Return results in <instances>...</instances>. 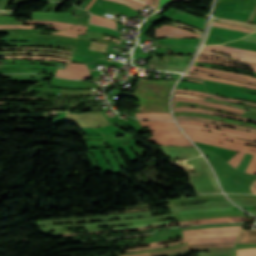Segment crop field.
I'll list each match as a JSON object with an SVG mask.
<instances>
[{
  "mask_svg": "<svg viewBox=\"0 0 256 256\" xmlns=\"http://www.w3.org/2000/svg\"><path fill=\"white\" fill-rule=\"evenodd\" d=\"M175 81L141 79L133 98L140 102L139 111L168 112L167 95Z\"/></svg>",
  "mask_w": 256,
  "mask_h": 256,
  "instance_id": "1",
  "label": "crop field"
},
{
  "mask_svg": "<svg viewBox=\"0 0 256 256\" xmlns=\"http://www.w3.org/2000/svg\"><path fill=\"white\" fill-rule=\"evenodd\" d=\"M173 106H195V107L206 108L208 110L232 113L240 116H242L244 112L243 109H239L231 106L214 104V103H209V102H204V101L194 100V99L175 98V97H174Z\"/></svg>",
  "mask_w": 256,
  "mask_h": 256,
  "instance_id": "2",
  "label": "crop field"
},
{
  "mask_svg": "<svg viewBox=\"0 0 256 256\" xmlns=\"http://www.w3.org/2000/svg\"><path fill=\"white\" fill-rule=\"evenodd\" d=\"M65 121L75 123L79 126H104L110 124L101 112L69 113Z\"/></svg>",
  "mask_w": 256,
  "mask_h": 256,
  "instance_id": "3",
  "label": "crop field"
},
{
  "mask_svg": "<svg viewBox=\"0 0 256 256\" xmlns=\"http://www.w3.org/2000/svg\"><path fill=\"white\" fill-rule=\"evenodd\" d=\"M189 181L199 193L218 191L216 183L210 172L189 174Z\"/></svg>",
  "mask_w": 256,
  "mask_h": 256,
  "instance_id": "4",
  "label": "crop field"
},
{
  "mask_svg": "<svg viewBox=\"0 0 256 256\" xmlns=\"http://www.w3.org/2000/svg\"><path fill=\"white\" fill-rule=\"evenodd\" d=\"M237 236H232V237H212V238H191V239H185L177 242H172V243H166V244H160V245H154V246H148V247H141V248H133V249H125V250H120L118 252H123V251H135V250H141V249H147V248H160V247H165L181 242H186L189 241V244H198V243H220V242H235Z\"/></svg>",
  "mask_w": 256,
  "mask_h": 256,
  "instance_id": "5",
  "label": "crop field"
},
{
  "mask_svg": "<svg viewBox=\"0 0 256 256\" xmlns=\"http://www.w3.org/2000/svg\"><path fill=\"white\" fill-rule=\"evenodd\" d=\"M57 77L63 78H89L86 64L69 63L65 70L58 69Z\"/></svg>",
  "mask_w": 256,
  "mask_h": 256,
  "instance_id": "6",
  "label": "crop field"
},
{
  "mask_svg": "<svg viewBox=\"0 0 256 256\" xmlns=\"http://www.w3.org/2000/svg\"><path fill=\"white\" fill-rule=\"evenodd\" d=\"M213 25L214 26L237 29V30L249 31V32L254 31V30H248L249 28L247 29V28H242L240 26L217 23V22H214ZM214 26H212V28H211V32H210L211 34H218V35L228 36V37H232V38H236V39H239V38L243 37L244 35L249 34V32L231 30V29L214 27Z\"/></svg>",
  "mask_w": 256,
  "mask_h": 256,
  "instance_id": "7",
  "label": "crop field"
},
{
  "mask_svg": "<svg viewBox=\"0 0 256 256\" xmlns=\"http://www.w3.org/2000/svg\"><path fill=\"white\" fill-rule=\"evenodd\" d=\"M159 37H200V35L174 26L163 25L155 30V38Z\"/></svg>",
  "mask_w": 256,
  "mask_h": 256,
  "instance_id": "8",
  "label": "crop field"
},
{
  "mask_svg": "<svg viewBox=\"0 0 256 256\" xmlns=\"http://www.w3.org/2000/svg\"><path fill=\"white\" fill-rule=\"evenodd\" d=\"M191 138H192V140H195V141H199V142H203V143H207V144H211V145H215V146H219V147H223V148L240 150V151H244V152L254 155L246 172L254 173V174L256 173V152L255 151L240 148V147L230 146V145H226V144H222V143H218V142H214V141H210V140H206V139H200V138H194V137H191Z\"/></svg>",
  "mask_w": 256,
  "mask_h": 256,
  "instance_id": "9",
  "label": "crop field"
},
{
  "mask_svg": "<svg viewBox=\"0 0 256 256\" xmlns=\"http://www.w3.org/2000/svg\"><path fill=\"white\" fill-rule=\"evenodd\" d=\"M203 49L204 50H212V51L222 52V53L234 55L236 57L202 50L201 53H203V54L226 56V57H230V58H233V59H236V60H240V61H244V62H248V63H255L256 64V56H254V55L234 53V52H231V51L214 49V48L205 47V46L203 47Z\"/></svg>",
  "mask_w": 256,
  "mask_h": 256,
  "instance_id": "10",
  "label": "crop field"
},
{
  "mask_svg": "<svg viewBox=\"0 0 256 256\" xmlns=\"http://www.w3.org/2000/svg\"><path fill=\"white\" fill-rule=\"evenodd\" d=\"M225 219H244V217H225V218H213V219H205V220L181 221V222L169 223V224H165V225H157V226L131 229V230H125V231H119V232H131V231L145 230V229L155 228V227L176 225V224H181V223H189V222L193 223V222H198V221L225 220ZM105 232H114V231H105ZM93 233H103V232H88V233H80V234H93ZM80 234H67V235H56V236H68V235H80Z\"/></svg>",
  "mask_w": 256,
  "mask_h": 256,
  "instance_id": "11",
  "label": "crop field"
},
{
  "mask_svg": "<svg viewBox=\"0 0 256 256\" xmlns=\"http://www.w3.org/2000/svg\"><path fill=\"white\" fill-rule=\"evenodd\" d=\"M200 57L210 58V59L225 60V61H229V62H231V63H239V64H242V65H245V66H249V67H253V68H256L255 65L244 64V63H240V62L233 61V60H229V59H225V58L212 57V56H205V55H201V54L199 55V57H198V59H197V61H200V62H207V63H216V64L229 65V66H234V67L243 68V69H246V70H248V71H255V72H256V69H250V68H246V67H243V66H239V65H235V64H230V63H226V62H222V61L208 60V59H200Z\"/></svg>",
  "mask_w": 256,
  "mask_h": 256,
  "instance_id": "12",
  "label": "crop field"
},
{
  "mask_svg": "<svg viewBox=\"0 0 256 256\" xmlns=\"http://www.w3.org/2000/svg\"><path fill=\"white\" fill-rule=\"evenodd\" d=\"M177 121H178V123H194V124L203 125V126L217 127V128L225 129V130H228V131H232V132H236V133L256 137L255 133L245 132V131L232 129V128H228V127H224V126H220V125H215V124H211V123L197 122V121H193V120H177Z\"/></svg>",
  "mask_w": 256,
  "mask_h": 256,
  "instance_id": "13",
  "label": "crop field"
},
{
  "mask_svg": "<svg viewBox=\"0 0 256 256\" xmlns=\"http://www.w3.org/2000/svg\"><path fill=\"white\" fill-rule=\"evenodd\" d=\"M159 145H192L188 139L182 138H159L151 140Z\"/></svg>",
  "mask_w": 256,
  "mask_h": 256,
  "instance_id": "14",
  "label": "crop field"
},
{
  "mask_svg": "<svg viewBox=\"0 0 256 256\" xmlns=\"http://www.w3.org/2000/svg\"><path fill=\"white\" fill-rule=\"evenodd\" d=\"M232 235H238V233H214V234H205V235H193V236H189V237L159 241V242H154V243H149V244H144V245L121 246V248H132V247L148 246V245H153V244H157V243L172 242V241H176V240H180V239H184V238H191V237L232 236Z\"/></svg>",
  "mask_w": 256,
  "mask_h": 256,
  "instance_id": "15",
  "label": "crop field"
},
{
  "mask_svg": "<svg viewBox=\"0 0 256 256\" xmlns=\"http://www.w3.org/2000/svg\"><path fill=\"white\" fill-rule=\"evenodd\" d=\"M142 127L149 126L151 131L157 129H168V128H177L174 122H151V121H140Z\"/></svg>",
  "mask_w": 256,
  "mask_h": 256,
  "instance_id": "16",
  "label": "crop field"
},
{
  "mask_svg": "<svg viewBox=\"0 0 256 256\" xmlns=\"http://www.w3.org/2000/svg\"><path fill=\"white\" fill-rule=\"evenodd\" d=\"M180 125H181V127H190V128H197V129H202V130H207V131L219 132V133L235 136V137L242 138V139L256 141V138H252V137H248V136H244V135H239V134H234V133H229V132L221 131V130L214 129V128L191 125V124H180Z\"/></svg>",
  "mask_w": 256,
  "mask_h": 256,
  "instance_id": "17",
  "label": "crop field"
},
{
  "mask_svg": "<svg viewBox=\"0 0 256 256\" xmlns=\"http://www.w3.org/2000/svg\"><path fill=\"white\" fill-rule=\"evenodd\" d=\"M237 243H256V230L242 229Z\"/></svg>",
  "mask_w": 256,
  "mask_h": 256,
  "instance_id": "18",
  "label": "crop field"
},
{
  "mask_svg": "<svg viewBox=\"0 0 256 256\" xmlns=\"http://www.w3.org/2000/svg\"><path fill=\"white\" fill-rule=\"evenodd\" d=\"M184 131L187 132H196V133H204V134H208V135H212V136H216V137H220V138H224V139H229V140H234V141H238V142H242V143H247V144H251V145H255V142H251V141H247V140H241V139H236L233 138L231 136H227V135H222V134H218V133H213V132H207V131H201V130H195V129H188V128H183Z\"/></svg>",
  "mask_w": 256,
  "mask_h": 256,
  "instance_id": "19",
  "label": "crop field"
},
{
  "mask_svg": "<svg viewBox=\"0 0 256 256\" xmlns=\"http://www.w3.org/2000/svg\"><path fill=\"white\" fill-rule=\"evenodd\" d=\"M235 243H221V244H199V245H189V246H184L180 248H175L167 251H161V252H155V253H146V254H137V255H126V256H144V255H150V254H158V253H166V252H172L188 247H209V246H234Z\"/></svg>",
  "mask_w": 256,
  "mask_h": 256,
  "instance_id": "20",
  "label": "crop field"
},
{
  "mask_svg": "<svg viewBox=\"0 0 256 256\" xmlns=\"http://www.w3.org/2000/svg\"><path fill=\"white\" fill-rule=\"evenodd\" d=\"M175 111H194V112H203V113H209V114H215V115H220V116H226V117H231V118H236V119H241V120H246V121H250V122H254L256 123V121L250 120V119H246V118H242V117H238V116H233V115H229V114H225V113H218V112H211L208 110H202V109H196V108H174Z\"/></svg>",
  "mask_w": 256,
  "mask_h": 256,
  "instance_id": "21",
  "label": "crop field"
},
{
  "mask_svg": "<svg viewBox=\"0 0 256 256\" xmlns=\"http://www.w3.org/2000/svg\"><path fill=\"white\" fill-rule=\"evenodd\" d=\"M138 119L172 120L169 113H137Z\"/></svg>",
  "mask_w": 256,
  "mask_h": 256,
  "instance_id": "22",
  "label": "crop field"
},
{
  "mask_svg": "<svg viewBox=\"0 0 256 256\" xmlns=\"http://www.w3.org/2000/svg\"><path fill=\"white\" fill-rule=\"evenodd\" d=\"M27 24H54V25H62V26H67V27L75 28V29H78V30H83V31H86V29H87V27L76 26V25H72V24H68V23H63V22H57V21H28L27 20Z\"/></svg>",
  "mask_w": 256,
  "mask_h": 256,
  "instance_id": "23",
  "label": "crop field"
},
{
  "mask_svg": "<svg viewBox=\"0 0 256 256\" xmlns=\"http://www.w3.org/2000/svg\"><path fill=\"white\" fill-rule=\"evenodd\" d=\"M187 134L191 135V136H195V137L206 138V139H210V140H214V141H218V142H222V143H226V144L240 146V147H244V148H248V149H252V150L256 151L255 146L233 143V142H229V141H225V140H221V139H217V138H213V137H208V136H204V135H200V134H196V133H187Z\"/></svg>",
  "mask_w": 256,
  "mask_h": 256,
  "instance_id": "24",
  "label": "crop field"
},
{
  "mask_svg": "<svg viewBox=\"0 0 256 256\" xmlns=\"http://www.w3.org/2000/svg\"><path fill=\"white\" fill-rule=\"evenodd\" d=\"M91 23L116 29L115 21L104 19V18L97 17V16H93V15L91 18Z\"/></svg>",
  "mask_w": 256,
  "mask_h": 256,
  "instance_id": "25",
  "label": "crop field"
},
{
  "mask_svg": "<svg viewBox=\"0 0 256 256\" xmlns=\"http://www.w3.org/2000/svg\"><path fill=\"white\" fill-rule=\"evenodd\" d=\"M192 69L211 71V72H218V73H223V74H227V75H231V76H238L240 78H246V79H250V80H255L256 81L255 78H252L250 76H244V75H240V74H236V73L225 72V71H220V70L211 69V68H203V67L193 66Z\"/></svg>",
  "mask_w": 256,
  "mask_h": 256,
  "instance_id": "26",
  "label": "crop field"
},
{
  "mask_svg": "<svg viewBox=\"0 0 256 256\" xmlns=\"http://www.w3.org/2000/svg\"><path fill=\"white\" fill-rule=\"evenodd\" d=\"M199 76H201L204 79L215 80V81H220V82H223V83L235 84V85H239V86H246V87L256 89V86L247 85V84H243V83H240V82H235V81H232V80H224V79H219V78H214V77H209V76H204V75H199Z\"/></svg>",
  "mask_w": 256,
  "mask_h": 256,
  "instance_id": "27",
  "label": "crop field"
},
{
  "mask_svg": "<svg viewBox=\"0 0 256 256\" xmlns=\"http://www.w3.org/2000/svg\"><path fill=\"white\" fill-rule=\"evenodd\" d=\"M190 72H193V73H200V74H206V75H213V76L220 77V78L233 79V80H237V81H240V82H246V83L256 84V82H254V81L243 80V79L234 78V77L225 76V75H219V74L208 73V72H202V71H194V70H191Z\"/></svg>",
  "mask_w": 256,
  "mask_h": 256,
  "instance_id": "28",
  "label": "crop field"
},
{
  "mask_svg": "<svg viewBox=\"0 0 256 256\" xmlns=\"http://www.w3.org/2000/svg\"><path fill=\"white\" fill-rule=\"evenodd\" d=\"M112 1L125 3V4L129 5L131 8L135 9L136 11L146 5L137 0H112Z\"/></svg>",
  "mask_w": 256,
  "mask_h": 256,
  "instance_id": "29",
  "label": "crop field"
},
{
  "mask_svg": "<svg viewBox=\"0 0 256 256\" xmlns=\"http://www.w3.org/2000/svg\"><path fill=\"white\" fill-rule=\"evenodd\" d=\"M217 20L220 22H226V23H231V24H235V25H242V26L256 29V24H248V23H243V22H239V21H235V20L221 19V18H217Z\"/></svg>",
  "mask_w": 256,
  "mask_h": 256,
  "instance_id": "30",
  "label": "crop field"
},
{
  "mask_svg": "<svg viewBox=\"0 0 256 256\" xmlns=\"http://www.w3.org/2000/svg\"><path fill=\"white\" fill-rule=\"evenodd\" d=\"M195 65H197V66H205V67H220V68H226V69H231V70H235V71H239V72H243V73L253 74V75L256 76V73L241 71V70H237V69H233V68H229V67H225V66H219V65H213V64H205V63H199V62H196Z\"/></svg>",
  "mask_w": 256,
  "mask_h": 256,
  "instance_id": "31",
  "label": "crop field"
},
{
  "mask_svg": "<svg viewBox=\"0 0 256 256\" xmlns=\"http://www.w3.org/2000/svg\"><path fill=\"white\" fill-rule=\"evenodd\" d=\"M244 153L243 152H238L232 159H230L229 161H227L228 163H230L232 166H234L236 168V166L239 164V162L241 161L242 157H243Z\"/></svg>",
  "mask_w": 256,
  "mask_h": 256,
  "instance_id": "32",
  "label": "crop field"
},
{
  "mask_svg": "<svg viewBox=\"0 0 256 256\" xmlns=\"http://www.w3.org/2000/svg\"><path fill=\"white\" fill-rule=\"evenodd\" d=\"M215 210H232V208L196 209V210L181 211L180 213L185 214V213L205 212V211H215Z\"/></svg>",
  "mask_w": 256,
  "mask_h": 256,
  "instance_id": "33",
  "label": "crop field"
},
{
  "mask_svg": "<svg viewBox=\"0 0 256 256\" xmlns=\"http://www.w3.org/2000/svg\"><path fill=\"white\" fill-rule=\"evenodd\" d=\"M162 223H167V222L166 221H162V222H154V223H148V224L131 225V226H125V227L110 228V229H125V228L145 227V226L162 224Z\"/></svg>",
  "mask_w": 256,
  "mask_h": 256,
  "instance_id": "34",
  "label": "crop field"
},
{
  "mask_svg": "<svg viewBox=\"0 0 256 256\" xmlns=\"http://www.w3.org/2000/svg\"><path fill=\"white\" fill-rule=\"evenodd\" d=\"M174 113H178V112H174ZM192 113H194V112H192ZM199 114H203V113H199ZM205 115H209V114H205ZM211 116H213V115H211ZM219 120L227 121V122H232V123H237V124H242V125H246V126H250V127L256 128V125L245 123V122H241V121H237V120H233V119L220 118Z\"/></svg>",
  "mask_w": 256,
  "mask_h": 256,
  "instance_id": "35",
  "label": "crop field"
},
{
  "mask_svg": "<svg viewBox=\"0 0 256 256\" xmlns=\"http://www.w3.org/2000/svg\"><path fill=\"white\" fill-rule=\"evenodd\" d=\"M238 256L256 254V248L236 250Z\"/></svg>",
  "mask_w": 256,
  "mask_h": 256,
  "instance_id": "36",
  "label": "crop field"
},
{
  "mask_svg": "<svg viewBox=\"0 0 256 256\" xmlns=\"http://www.w3.org/2000/svg\"><path fill=\"white\" fill-rule=\"evenodd\" d=\"M0 28H36V25H0Z\"/></svg>",
  "mask_w": 256,
  "mask_h": 256,
  "instance_id": "37",
  "label": "crop field"
},
{
  "mask_svg": "<svg viewBox=\"0 0 256 256\" xmlns=\"http://www.w3.org/2000/svg\"><path fill=\"white\" fill-rule=\"evenodd\" d=\"M212 97H213V98H216V99H220V100L231 101V102H238V101L244 102L243 100L232 99V98H222V97H218V96H214V95H212ZM244 104H246V105H251V106H256V104L250 103V102H246V101H245Z\"/></svg>",
  "mask_w": 256,
  "mask_h": 256,
  "instance_id": "38",
  "label": "crop field"
},
{
  "mask_svg": "<svg viewBox=\"0 0 256 256\" xmlns=\"http://www.w3.org/2000/svg\"><path fill=\"white\" fill-rule=\"evenodd\" d=\"M179 136H184L182 133H172V134H163V135H154L150 139L153 138H159V137H179ZM149 139V140H150Z\"/></svg>",
  "mask_w": 256,
  "mask_h": 256,
  "instance_id": "39",
  "label": "crop field"
},
{
  "mask_svg": "<svg viewBox=\"0 0 256 256\" xmlns=\"http://www.w3.org/2000/svg\"><path fill=\"white\" fill-rule=\"evenodd\" d=\"M175 92L192 93V94H198V95H203V96H208V97H210V95L207 94V93L196 92V91H189V90H180V89H176Z\"/></svg>",
  "mask_w": 256,
  "mask_h": 256,
  "instance_id": "40",
  "label": "crop field"
},
{
  "mask_svg": "<svg viewBox=\"0 0 256 256\" xmlns=\"http://www.w3.org/2000/svg\"><path fill=\"white\" fill-rule=\"evenodd\" d=\"M156 217H160V216L145 217V218H135V219H126V220L112 221V222H99V223H115V222H124V221H130V220L150 219V218H156ZM90 224H97V223H90Z\"/></svg>",
  "mask_w": 256,
  "mask_h": 256,
  "instance_id": "41",
  "label": "crop field"
},
{
  "mask_svg": "<svg viewBox=\"0 0 256 256\" xmlns=\"http://www.w3.org/2000/svg\"><path fill=\"white\" fill-rule=\"evenodd\" d=\"M212 47L221 48V49H228V50H233V51H237V52L240 50V49H237V48H231V47H226V46H222V45H217V46H212ZM248 53L256 55V52L249 51Z\"/></svg>",
  "mask_w": 256,
  "mask_h": 256,
  "instance_id": "42",
  "label": "crop field"
},
{
  "mask_svg": "<svg viewBox=\"0 0 256 256\" xmlns=\"http://www.w3.org/2000/svg\"><path fill=\"white\" fill-rule=\"evenodd\" d=\"M239 221H243V220L210 221V222H199V223H194V224L199 225V224H204V223L239 222Z\"/></svg>",
  "mask_w": 256,
  "mask_h": 256,
  "instance_id": "43",
  "label": "crop field"
},
{
  "mask_svg": "<svg viewBox=\"0 0 256 256\" xmlns=\"http://www.w3.org/2000/svg\"><path fill=\"white\" fill-rule=\"evenodd\" d=\"M242 40H248V41L256 42V32L242 38Z\"/></svg>",
  "mask_w": 256,
  "mask_h": 256,
  "instance_id": "44",
  "label": "crop field"
},
{
  "mask_svg": "<svg viewBox=\"0 0 256 256\" xmlns=\"http://www.w3.org/2000/svg\"><path fill=\"white\" fill-rule=\"evenodd\" d=\"M174 96H181V97H188V98H194V99L204 100V97H200V96H196V95H183V94H177V93H175Z\"/></svg>",
  "mask_w": 256,
  "mask_h": 256,
  "instance_id": "45",
  "label": "crop field"
},
{
  "mask_svg": "<svg viewBox=\"0 0 256 256\" xmlns=\"http://www.w3.org/2000/svg\"><path fill=\"white\" fill-rule=\"evenodd\" d=\"M171 132H180L179 129H175V130H163V131H154V132H151L152 135L153 134H162V133H171Z\"/></svg>",
  "mask_w": 256,
  "mask_h": 256,
  "instance_id": "46",
  "label": "crop field"
},
{
  "mask_svg": "<svg viewBox=\"0 0 256 256\" xmlns=\"http://www.w3.org/2000/svg\"><path fill=\"white\" fill-rule=\"evenodd\" d=\"M172 25L179 26V27L189 28V29L193 30L194 32H196V33H198V34L201 35V31H199V30H197V29H195V28H193V27H189V26H185V25H181V24H176V23H174V24H172Z\"/></svg>",
  "mask_w": 256,
  "mask_h": 256,
  "instance_id": "47",
  "label": "crop field"
},
{
  "mask_svg": "<svg viewBox=\"0 0 256 256\" xmlns=\"http://www.w3.org/2000/svg\"><path fill=\"white\" fill-rule=\"evenodd\" d=\"M231 200H255L256 198L229 197Z\"/></svg>",
  "mask_w": 256,
  "mask_h": 256,
  "instance_id": "48",
  "label": "crop field"
},
{
  "mask_svg": "<svg viewBox=\"0 0 256 256\" xmlns=\"http://www.w3.org/2000/svg\"><path fill=\"white\" fill-rule=\"evenodd\" d=\"M64 31H68V32L76 33V34H85V32H83V31H78V30H74V29H71V28H68Z\"/></svg>",
  "mask_w": 256,
  "mask_h": 256,
  "instance_id": "49",
  "label": "crop field"
},
{
  "mask_svg": "<svg viewBox=\"0 0 256 256\" xmlns=\"http://www.w3.org/2000/svg\"><path fill=\"white\" fill-rule=\"evenodd\" d=\"M55 34H63V35H67V36H74V37H77V35H75V34L63 32V31L55 32Z\"/></svg>",
  "mask_w": 256,
  "mask_h": 256,
  "instance_id": "50",
  "label": "crop field"
},
{
  "mask_svg": "<svg viewBox=\"0 0 256 256\" xmlns=\"http://www.w3.org/2000/svg\"><path fill=\"white\" fill-rule=\"evenodd\" d=\"M206 200H227L226 197H220V198H202Z\"/></svg>",
  "mask_w": 256,
  "mask_h": 256,
  "instance_id": "51",
  "label": "crop field"
},
{
  "mask_svg": "<svg viewBox=\"0 0 256 256\" xmlns=\"http://www.w3.org/2000/svg\"><path fill=\"white\" fill-rule=\"evenodd\" d=\"M13 12L0 11V15H9L12 16Z\"/></svg>",
  "mask_w": 256,
  "mask_h": 256,
  "instance_id": "52",
  "label": "crop field"
},
{
  "mask_svg": "<svg viewBox=\"0 0 256 256\" xmlns=\"http://www.w3.org/2000/svg\"><path fill=\"white\" fill-rule=\"evenodd\" d=\"M50 28H52V29H56V30H62V29H65L66 27H61V26H50Z\"/></svg>",
  "mask_w": 256,
  "mask_h": 256,
  "instance_id": "53",
  "label": "crop field"
},
{
  "mask_svg": "<svg viewBox=\"0 0 256 256\" xmlns=\"http://www.w3.org/2000/svg\"><path fill=\"white\" fill-rule=\"evenodd\" d=\"M168 1H170V0H160V3H159V6H158V10L160 9V7L163 5V4H165L166 2H168Z\"/></svg>",
  "mask_w": 256,
  "mask_h": 256,
  "instance_id": "54",
  "label": "crop field"
},
{
  "mask_svg": "<svg viewBox=\"0 0 256 256\" xmlns=\"http://www.w3.org/2000/svg\"><path fill=\"white\" fill-rule=\"evenodd\" d=\"M147 208L144 209H134V210H146ZM125 211H132V210H123V211H113V212H125Z\"/></svg>",
  "mask_w": 256,
  "mask_h": 256,
  "instance_id": "55",
  "label": "crop field"
},
{
  "mask_svg": "<svg viewBox=\"0 0 256 256\" xmlns=\"http://www.w3.org/2000/svg\"><path fill=\"white\" fill-rule=\"evenodd\" d=\"M140 1H143V2L151 4V5H152V2H153V0H140Z\"/></svg>",
  "mask_w": 256,
  "mask_h": 256,
  "instance_id": "56",
  "label": "crop field"
},
{
  "mask_svg": "<svg viewBox=\"0 0 256 256\" xmlns=\"http://www.w3.org/2000/svg\"><path fill=\"white\" fill-rule=\"evenodd\" d=\"M159 0H155L154 7L157 8Z\"/></svg>",
  "mask_w": 256,
  "mask_h": 256,
  "instance_id": "57",
  "label": "crop field"
},
{
  "mask_svg": "<svg viewBox=\"0 0 256 256\" xmlns=\"http://www.w3.org/2000/svg\"><path fill=\"white\" fill-rule=\"evenodd\" d=\"M178 204H180V202L170 203V204H168V205H169V206H173V205H178Z\"/></svg>",
  "mask_w": 256,
  "mask_h": 256,
  "instance_id": "58",
  "label": "crop field"
},
{
  "mask_svg": "<svg viewBox=\"0 0 256 256\" xmlns=\"http://www.w3.org/2000/svg\"><path fill=\"white\" fill-rule=\"evenodd\" d=\"M95 0H92L91 2H90V4L87 6V10L89 9V7L93 4V2H94Z\"/></svg>",
  "mask_w": 256,
  "mask_h": 256,
  "instance_id": "59",
  "label": "crop field"
},
{
  "mask_svg": "<svg viewBox=\"0 0 256 256\" xmlns=\"http://www.w3.org/2000/svg\"><path fill=\"white\" fill-rule=\"evenodd\" d=\"M184 76H187V77H196V76H193V75H184ZM196 78H199V77H196Z\"/></svg>",
  "mask_w": 256,
  "mask_h": 256,
  "instance_id": "60",
  "label": "crop field"
},
{
  "mask_svg": "<svg viewBox=\"0 0 256 256\" xmlns=\"http://www.w3.org/2000/svg\"><path fill=\"white\" fill-rule=\"evenodd\" d=\"M92 42H94V41H92ZM94 43H98V42H94ZM98 44H102V43H98ZM102 45H106V44H102ZM107 46V45H106Z\"/></svg>",
  "mask_w": 256,
  "mask_h": 256,
  "instance_id": "61",
  "label": "crop field"
},
{
  "mask_svg": "<svg viewBox=\"0 0 256 256\" xmlns=\"http://www.w3.org/2000/svg\"><path fill=\"white\" fill-rule=\"evenodd\" d=\"M251 256H256V255H251Z\"/></svg>",
  "mask_w": 256,
  "mask_h": 256,
  "instance_id": "62",
  "label": "crop field"
}]
</instances>
